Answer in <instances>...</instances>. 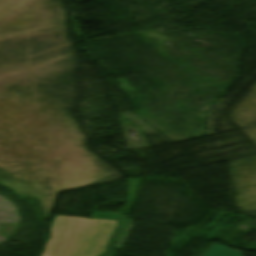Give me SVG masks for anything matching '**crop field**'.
<instances>
[{"label":"crop field","mask_w":256,"mask_h":256,"mask_svg":"<svg viewBox=\"0 0 256 256\" xmlns=\"http://www.w3.org/2000/svg\"><path fill=\"white\" fill-rule=\"evenodd\" d=\"M118 221L58 216L41 256H101Z\"/></svg>","instance_id":"1"},{"label":"crop field","mask_w":256,"mask_h":256,"mask_svg":"<svg viewBox=\"0 0 256 256\" xmlns=\"http://www.w3.org/2000/svg\"><path fill=\"white\" fill-rule=\"evenodd\" d=\"M202 256H242V253L214 243Z\"/></svg>","instance_id":"2"}]
</instances>
